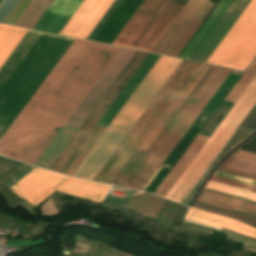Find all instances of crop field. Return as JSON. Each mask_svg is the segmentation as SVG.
<instances>
[{"label":"crop field","mask_w":256,"mask_h":256,"mask_svg":"<svg viewBox=\"0 0 256 256\" xmlns=\"http://www.w3.org/2000/svg\"><path fill=\"white\" fill-rule=\"evenodd\" d=\"M119 50L75 39L0 139V154L34 165Z\"/></svg>","instance_id":"crop-field-1"},{"label":"crop field","mask_w":256,"mask_h":256,"mask_svg":"<svg viewBox=\"0 0 256 256\" xmlns=\"http://www.w3.org/2000/svg\"><path fill=\"white\" fill-rule=\"evenodd\" d=\"M197 201L205 202V203H208V204L216 205V206L227 208V209L230 208V207H226V206H223V205H220V204H216V203H213V202H209V201H206V200H203V199H199V198H197ZM231 209H233V208H231ZM235 210H237V209H235ZM238 211H241V210H238ZM242 212H245V211H242ZM246 213H248V212H246ZM249 214H252V213H249ZM253 215H256V214H253Z\"/></svg>","instance_id":"crop-field-36"},{"label":"crop field","mask_w":256,"mask_h":256,"mask_svg":"<svg viewBox=\"0 0 256 256\" xmlns=\"http://www.w3.org/2000/svg\"><path fill=\"white\" fill-rule=\"evenodd\" d=\"M222 166L241 170L256 175V163L230 156Z\"/></svg>","instance_id":"crop-field-26"},{"label":"crop field","mask_w":256,"mask_h":256,"mask_svg":"<svg viewBox=\"0 0 256 256\" xmlns=\"http://www.w3.org/2000/svg\"><path fill=\"white\" fill-rule=\"evenodd\" d=\"M256 54V13L217 63L218 66L244 70Z\"/></svg>","instance_id":"crop-field-14"},{"label":"crop field","mask_w":256,"mask_h":256,"mask_svg":"<svg viewBox=\"0 0 256 256\" xmlns=\"http://www.w3.org/2000/svg\"><path fill=\"white\" fill-rule=\"evenodd\" d=\"M218 170L226 171V172H229V173L237 174V175H240V176H244V177L256 180V176L255 175L244 173V172L237 171V170H233V169H230V168L219 166Z\"/></svg>","instance_id":"crop-field-31"},{"label":"crop field","mask_w":256,"mask_h":256,"mask_svg":"<svg viewBox=\"0 0 256 256\" xmlns=\"http://www.w3.org/2000/svg\"><path fill=\"white\" fill-rule=\"evenodd\" d=\"M148 55H149L148 53L137 51V53L134 55V57L131 59V61L128 63V65L125 67V69L119 75V77L116 79V81L113 83V85L107 91V93L104 95V97L101 99V101L98 103V105L92 111V113L89 115V117L86 119V121L80 127V129L77 131V133L74 135V137L68 143V145L62 151V153L59 155V157L56 159V161L53 163V165L50 167L51 170H55V171H59V172L62 171V169L65 167V165L71 159V157L74 155V153L80 147V145L83 143V141L89 135V133L93 130L95 125L98 123V121L104 115V113L107 111V109L113 103V101L117 98V96L120 94V92L126 86V84L129 82V80L133 77V75L136 73V71L139 69V67L142 65V63L145 61V59L148 57Z\"/></svg>","instance_id":"crop-field-10"},{"label":"crop field","mask_w":256,"mask_h":256,"mask_svg":"<svg viewBox=\"0 0 256 256\" xmlns=\"http://www.w3.org/2000/svg\"><path fill=\"white\" fill-rule=\"evenodd\" d=\"M232 1L233 0L220 1V3L216 6V8L210 14V16L198 30V32L180 54V58H190V56L193 54V52L196 50V48L199 46V44L202 42V40L205 38V36L208 34V32L211 30V28L214 26V24L217 22V20L220 18V16L223 14V12Z\"/></svg>","instance_id":"crop-field-21"},{"label":"crop field","mask_w":256,"mask_h":256,"mask_svg":"<svg viewBox=\"0 0 256 256\" xmlns=\"http://www.w3.org/2000/svg\"><path fill=\"white\" fill-rule=\"evenodd\" d=\"M249 2L250 0H234L190 59L205 62Z\"/></svg>","instance_id":"crop-field-16"},{"label":"crop field","mask_w":256,"mask_h":256,"mask_svg":"<svg viewBox=\"0 0 256 256\" xmlns=\"http://www.w3.org/2000/svg\"><path fill=\"white\" fill-rule=\"evenodd\" d=\"M240 150L248 151L256 154V136H254L249 142H247Z\"/></svg>","instance_id":"crop-field-32"},{"label":"crop field","mask_w":256,"mask_h":256,"mask_svg":"<svg viewBox=\"0 0 256 256\" xmlns=\"http://www.w3.org/2000/svg\"><path fill=\"white\" fill-rule=\"evenodd\" d=\"M114 0H84L61 35L86 39Z\"/></svg>","instance_id":"crop-field-15"},{"label":"crop field","mask_w":256,"mask_h":256,"mask_svg":"<svg viewBox=\"0 0 256 256\" xmlns=\"http://www.w3.org/2000/svg\"><path fill=\"white\" fill-rule=\"evenodd\" d=\"M2 0H0V2H1Z\"/></svg>","instance_id":"crop-field-40"},{"label":"crop field","mask_w":256,"mask_h":256,"mask_svg":"<svg viewBox=\"0 0 256 256\" xmlns=\"http://www.w3.org/2000/svg\"><path fill=\"white\" fill-rule=\"evenodd\" d=\"M34 166L27 165L24 167L20 172H18L14 177H12L8 182H6L4 185L7 187L13 186L17 181H19L22 177H24L27 173H29Z\"/></svg>","instance_id":"crop-field-29"},{"label":"crop field","mask_w":256,"mask_h":256,"mask_svg":"<svg viewBox=\"0 0 256 256\" xmlns=\"http://www.w3.org/2000/svg\"><path fill=\"white\" fill-rule=\"evenodd\" d=\"M159 57H160L159 55H153V54L149 55V57L146 59V61L143 63V65L140 67V69L137 71V73L134 75V77L131 79V81L128 83V85L125 87V89L122 91V93L118 96V98L115 100V102L109 108V110L106 112V114L103 116V118L97 124V126H101V127H105V128L108 127V125L111 123V121L117 115V113L120 111V109L123 107V105L129 99V97L132 95V93L135 91V89L138 87V85L141 83V81L144 79V77L147 75V73L150 71V69L153 67V65L156 63V61L159 59ZM101 127H99V129L96 131V133L90 139V141L87 143V145L84 147V149L78 155V157L75 159V161L69 167V169L66 171V174L72 175V173L75 171V169L81 163V161L84 159V157L87 155V153L93 147V145L96 143V141L102 135V133L105 131V128H101Z\"/></svg>","instance_id":"crop-field-13"},{"label":"crop field","mask_w":256,"mask_h":256,"mask_svg":"<svg viewBox=\"0 0 256 256\" xmlns=\"http://www.w3.org/2000/svg\"><path fill=\"white\" fill-rule=\"evenodd\" d=\"M209 67V65L200 64V66L173 100L171 105L141 143L139 148L112 182L113 185H122L128 175L131 173V171L134 169V167L137 165V163L140 161V159L143 157V155L146 153V151L149 149V147L152 145V143L155 141V139L158 137V135L161 133V131L164 129V127L167 125V123L170 121V119L173 117V115L176 113V111L179 109V107L182 105V103L185 101V99L188 97L200 79L203 77V75L206 73V71L209 69Z\"/></svg>","instance_id":"crop-field-12"},{"label":"crop field","mask_w":256,"mask_h":256,"mask_svg":"<svg viewBox=\"0 0 256 256\" xmlns=\"http://www.w3.org/2000/svg\"><path fill=\"white\" fill-rule=\"evenodd\" d=\"M181 61L161 56L73 176L93 180Z\"/></svg>","instance_id":"crop-field-4"},{"label":"crop field","mask_w":256,"mask_h":256,"mask_svg":"<svg viewBox=\"0 0 256 256\" xmlns=\"http://www.w3.org/2000/svg\"><path fill=\"white\" fill-rule=\"evenodd\" d=\"M26 32L0 24V66ZM73 41L28 30L0 68V138Z\"/></svg>","instance_id":"crop-field-2"},{"label":"crop field","mask_w":256,"mask_h":256,"mask_svg":"<svg viewBox=\"0 0 256 256\" xmlns=\"http://www.w3.org/2000/svg\"><path fill=\"white\" fill-rule=\"evenodd\" d=\"M232 156H236V157H240V158H243V159H247V160H251V161L256 162V155L248 153V152L238 150L235 153H233Z\"/></svg>","instance_id":"crop-field-33"},{"label":"crop field","mask_w":256,"mask_h":256,"mask_svg":"<svg viewBox=\"0 0 256 256\" xmlns=\"http://www.w3.org/2000/svg\"><path fill=\"white\" fill-rule=\"evenodd\" d=\"M255 103L256 77L166 195V198L182 202Z\"/></svg>","instance_id":"crop-field-5"},{"label":"crop field","mask_w":256,"mask_h":256,"mask_svg":"<svg viewBox=\"0 0 256 256\" xmlns=\"http://www.w3.org/2000/svg\"><path fill=\"white\" fill-rule=\"evenodd\" d=\"M226 235L229 236V237L241 239V238H239V237H236V236H233V235H230V234H226ZM227 238H228V237H227ZM229 239H232V238H229ZM232 240H234V241H240V240H236V239H232ZM241 240H244V239H241ZM245 241H246V240H245ZM241 242H243L244 244H247V245H249V246H252V247L256 248V243H253V242H250V241H247V242L241 241ZM244 248H246V245H244Z\"/></svg>","instance_id":"crop-field-35"},{"label":"crop field","mask_w":256,"mask_h":256,"mask_svg":"<svg viewBox=\"0 0 256 256\" xmlns=\"http://www.w3.org/2000/svg\"><path fill=\"white\" fill-rule=\"evenodd\" d=\"M230 72V69L210 67L123 183V187L142 191Z\"/></svg>","instance_id":"crop-field-3"},{"label":"crop field","mask_w":256,"mask_h":256,"mask_svg":"<svg viewBox=\"0 0 256 256\" xmlns=\"http://www.w3.org/2000/svg\"><path fill=\"white\" fill-rule=\"evenodd\" d=\"M205 188L256 201V193L209 180Z\"/></svg>","instance_id":"crop-field-25"},{"label":"crop field","mask_w":256,"mask_h":256,"mask_svg":"<svg viewBox=\"0 0 256 256\" xmlns=\"http://www.w3.org/2000/svg\"><path fill=\"white\" fill-rule=\"evenodd\" d=\"M211 180H215V181H218V182H222V183H225V184H229V185H232V186H236V187H240V188H243V189H247V190L256 192V186L248 185V184H245V183L237 182V181L226 179V178H223V177L213 175Z\"/></svg>","instance_id":"crop-field-28"},{"label":"crop field","mask_w":256,"mask_h":256,"mask_svg":"<svg viewBox=\"0 0 256 256\" xmlns=\"http://www.w3.org/2000/svg\"><path fill=\"white\" fill-rule=\"evenodd\" d=\"M110 187L36 167L10 189L36 206L54 191L102 202Z\"/></svg>","instance_id":"crop-field-7"},{"label":"crop field","mask_w":256,"mask_h":256,"mask_svg":"<svg viewBox=\"0 0 256 256\" xmlns=\"http://www.w3.org/2000/svg\"><path fill=\"white\" fill-rule=\"evenodd\" d=\"M199 198L207 199L210 201H214L217 203L225 204L228 206H232L235 208L243 209L246 211H250L253 213H256V204L245 202L242 200L230 198L227 196L219 195L216 193L208 192V191H202L199 195Z\"/></svg>","instance_id":"crop-field-24"},{"label":"crop field","mask_w":256,"mask_h":256,"mask_svg":"<svg viewBox=\"0 0 256 256\" xmlns=\"http://www.w3.org/2000/svg\"><path fill=\"white\" fill-rule=\"evenodd\" d=\"M210 1L189 0L174 19L169 28L166 30V32L163 34V36L160 38V40L157 42V44L154 46V48L151 50V52L177 57V55L180 53V51L183 49V47L186 45V43L201 25V23L206 20V18L209 16V14L220 0Z\"/></svg>","instance_id":"crop-field-9"},{"label":"crop field","mask_w":256,"mask_h":256,"mask_svg":"<svg viewBox=\"0 0 256 256\" xmlns=\"http://www.w3.org/2000/svg\"><path fill=\"white\" fill-rule=\"evenodd\" d=\"M135 53V50L121 48L48 149L37 160L36 166L49 169Z\"/></svg>","instance_id":"crop-field-8"},{"label":"crop field","mask_w":256,"mask_h":256,"mask_svg":"<svg viewBox=\"0 0 256 256\" xmlns=\"http://www.w3.org/2000/svg\"><path fill=\"white\" fill-rule=\"evenodd\" d=\"M33 0H5L3 2V4L0 6V23H3L5 20V24H11V25H15V23L18 21V19L21 17V15L24 13V11L27 9V7L30 5V3Z\"/></svg>","instance_id":"crop-field-23"},{"label":"crop field","mask_w":256,"mask_h":256,"mask_svg":"<svg viewBox=\"0 0 256 256\" xmlns=\"http://www.w3.org/2000/svg\"><path fill=\"white\" fill-rule=\"evenodd\" d=\"M237 234H238V233H237ZM237 234H236V235H237ZM240 235H241V234H240ZM240 235H239V236H240ZM245 237H246V236H245ZM241 238H242V237H241ZM248 238H249V237H248ZM244 239H245V238H244Z\"/></svg>","instance_id":"crop-field-39"},{"label":"crop field","mask_w":256,"mask_h":256,"mask_svg":"<svg viewBox=\"0 0 256 256\" xmlns=\"http://www.w3.org/2000/svg\"><path fill=\"white\" fill-rule=\"evenodd\" d=\"M185 222H189V223H193V224H197V225H201V226H205V227H209V228H214V229H218V230L221 229V228H218V227L204 225V224H200V223H195V222H191V221H187V220H185Z\"/></svg>","instance_id":"crop-field-37"},{"label":"crop field","mask_w":256,"mask_h":256,"mask_svg":"<svg viewBox=\"0 0 256 256\" xmlns=\"http://www.w3.org/2000/svg\"><path fill=\"white\" fill-rule=\"evenodd\" d=\"M222 230H226V229L222 228ZM226 231H229V230H226ZM230 232H232V231H230ZM234 233H235V232H234ZM234 233H233V234H234Z\"/></svg>","instance_id":"crop-field-38"},{"label":"crop field","mask_w":256,"mask_h":256,"mask_svg":"<svg viewBox=\"0 0 256 256\" xmlns=\"http://www.w3.org/2000/svg\"><path fill=\"white\" fill-rule=\"evenodd\" d=\"M215 175H219V176L234 179V180H237V181L245 182V183H248V184L256 185V181H254V180L247 179V178L240 177V176L233 175V174H229V173H226V172L218 171V170H216Z\"/></svg>","instance_id":"crop-field-30"},{"label":"crop field","mask_w":256,"mask_h":256,"mask_svg":"<svg viewBox=\"0 0 256 256\" xmlns=\"http://www.w3.org/2000/svg\"><path fill=\"white\" fill-rule=\"evenodd\" d=\"M175 230L197 231V232L208 233V234L212 233V231H210V230H204V229H198V228H192V227L176 228Z\"/></svg>","instance_id":"crop-field-34"},{"label":"crop field","mask_w":256,"mask_h":256,"mask_svg":"<svg viewBox=\"0 0 256 256\" xmlns=\"http://www.w3.org/2000/svg\"><path fill=\"white\" fill-rule=\"evenodd\" d=\"M186 216L195 218L197 219V222H200V223L224 227L229 230L256 238V229H253L233 219L221 217L218 215L206 213V212L191 209V208L189 209Z\"/></svg>","instance_id":"crop-field-20"},{"label":"crop field","mask_w":256,"mask_h":256,"mask_svg":"<svg viewBox=\"0 0 256 256\" xmlns=\"http://www.w3.org/2000/svg\"><path fill=\"white\" fill-rule=\"evenodd\" d=\"M171 2L145 0L113 44L150 52L182 9Z\"/></svg>","instance_id":"crop-field-6"},{"label":"crop field","mask_w":256,"mask_h":256,"mask_svg":"<svg viewBox=\"0 0 256 256\" xmlns=\"http://www.w3.org/2000/svg\"><path fill=\"white\" fill-rule=\"evenodd\" d=\"M143 0H124L94 41L112 44Z\"/></svg>","instance_id":"crop-field-18"},{"label":"crop field","mask_w":256,"mask_h":256,"mask_svg":"<svg viewBox=\"0 0 256 256\" xmlns=\"http://www.w3.org/2000/svg\"><path fill=\"white\" fill-rule=\"evenodd\" d=\"M255 76L256 57L246 69L241 78L238 80V82L235 84V86L232 88V90L229 92V94L226 96V98L223 100V102L234 105V103L237 101V99L240 97V95ZM211 134L212 131L204 129L201 130V132L198 134V136L195 138V140L192 142V144L189 146V148L186 150V152L183 154V156L159 186V188L156 190L155 194L165 197V195L168 193V191L171 189V187L174 185V183L177 181V179L180 177V175L183 173L188 164L191 162V160L194 158V156L197 154V152L200 150V148Z\"/></svg>","instance_id":"crop-field-11"},{"label":"crop field","mask_w":256,"mask_h":256,"mask_svg":"<svg viewBox=\"0 0 256 256\" xmlns=\"http://www.w3.org/2000/svg\"><path fill=\"white\" fill-rule=\"evenodd\" d=\"M83 0H54L34 30L59 34Z\"/></svg>","instance_id":"crop-field-17"},{"label":"crop field","mask_w":256,"mask_h":256,"mask_svg":"<svg viewBox=\"0 0 256 256\" xmlns=\"http://www.w3.org/2000/svg\"><path fill=\"white\" fill-rule=\"evenodd\" d=\"M193 207L203 209V210H206V211H210V212H213V213L221 214V215H224V216L236 218V219H238V220H240V221H242L246 224H249L253 227H256V220L251 219V218L243 217V216H240V215H236V214H233V213L225 212V211H222V210L214 209V208L207 207V206L200 205V204H196V203L194 204Z\"/></svg>","instance_id":"crop-field-27"},{"label":"crop field","mask_w":256,"mask_h":256,"mask_svg":"<svg viewBox=\"0 0 256 256\" xmlns=\"http://www.w3.org/2000/svg\"><path fill=\"white\" fill-rule=\"evenodd\" d=\"M164 201L165 199L157 196L138 192L129 208L142 211V215L155 218Z\"/></svg>","instance_id":"crop-field-22"},{"label":"crop field","mask_w":256,"mask_h":256,"mask_svg":"<svg viewBox=\"0 0 256 256\" xmlns=\"http://www.w3.org/2000/svg\"><path fill=\"white\" fill-rule=\"evenodd\" d=\"M255 11L256 0H252L237 19V21L234 23V25L231 27V29L228 31V33L225 35V37L222 39V41L219 43V45L216 47V49L213 51V53L210 55V57L207 59L206 63L216 65V63L219 61V59L222 57V55L243 29Z\"/></svg>","instance_id":"crop-field-19"}]
</instances>
